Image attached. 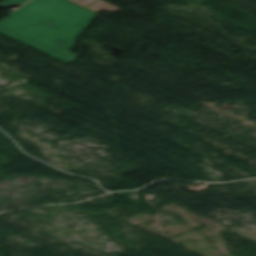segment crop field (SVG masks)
<instances>
[{
    "mask_svg": "<svg viewBox=\"0 0 256 256\" xmlns=\"http://www.w3.org/2000/svg\"><path fill=\"white\" fill-rule=\"evenodd\" d=\"M96 16L69 0H33L0 21V32L71 63L78 58L69 52L75 38Z\"/></svg>",
    "mask_w": 256,
    "mask_h": 256,
    "instance_id": "crop-field-1",
    "label": "crop field"
},
{
    "mask_svg": "<svg viewBox=\"0 0 256 256\" xmlns=\"http://www.w3.org/2000/svg\"><path fill=\"white\" fill-rule=\"evenodd\" d=\"M71 1L85 7V6H87L88 4L92 3L95 0H71Z\"/></svg>",
    "mask_w": 256,
    "mask_h": 256,
    "instance_id": "crop-field-4",
    "label": "crop field"
},
{
    "mask_svg": "<svg viewBox=\"0 0 256 256\" xmlns=\"http://www.w3.org/2000/svg\"><path fill=\"white\" fill-rule=\"evenodd\" d=\"M87 8L95 11V12H99V11H102V10H106V11H109L111 13H115L116 11H120L122 9L114 6V5H111V4H108L102 0L88 6Z\"/></svg>",
    "mask_w": 256,
    "mask_h": 256,
    "instance_id": "crop-field-2",
    "label": "crop field"
},
{
    "mask_svg": "<svg viewBox=\"0 0 256 256\" xmlns=\"http://www.w3.org/2000/svg\"><path fill=\"white\" fill-rule=\"evenodd\" d=\"M27 1H29V0H6L5 2H3V3L1 2V3L2 4H18V5H21V4H23ZM2 4H0V5H2Z\"/></svg>",
    "mask_w": 256,
    "mask_h": 256,
    "instance_id": "crop-field-3",
    "label": "crop field"
}]
</instances>
